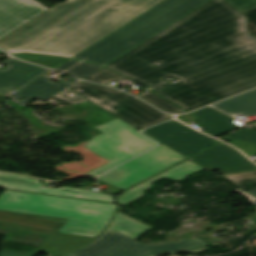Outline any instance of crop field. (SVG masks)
Returning a JSON list of instances; mask_svg holds the SVG:
<instances>
[{
  "instance_id": "8a807250",
  "label": "crop field",
  "mask_w": 256,
  "mask_h": 256,
  "mask_svg": "<svg viewBox=\"0 0 256 256\" xmlns=\"http://www.w3.org/2000/svg\"><path fill=\"white\" fill-rule=\"evenodd\" d=\"M247 19L224 0H211L104 66L190 111L256 86V38ZM160 63L158 66L154 63Z\"/></svg>"
},
{
  "instance_id": "ac0d7876",
  "label": "crop field",
  "mask_w": 256,
  "mask_h": 256,
  "mask_svg": "<svg viewBox=\"0 0 256 256\" xmlns=\"http://www.w3.org/2000/svg\"><path fill=\"white\" fill-rule=\"evenodd\" d=\"M160 1L93 0L13 53L71 58Z\"/></svg>"
},
{
  "instance_id": "34b2d1b8",
  "label": "crop field",
  "mask_w": 256,
  "mask_h": 256,
  "mask_svg": "<svg viewBox=\"0 0 256 256\" xmlns=\"http://www.w3.org/2000/svg\"><path fill=\"white\" fill-rule=\"evenodd\" d=\"M116 205L5 190L0 210L69 219L58 231L97 236L109 223Z\"/></svg>"
},
{
  "instance_id": "412701ff",
  "label": "crop field",
  "mask_w": 256,
  "mask_h": 256,
  "mask_svg": "<svg viewBox=\"0 0 256 256\" xmlns=\"http://www.w3.org/2000/svg\"><path fill=\"white\" fill-rule=\"evenodd\" d=\"M206 1L207 0H163L74 56L73 59L104 66Z\"/></svg>"
},
{
  "instance_id": "f4fd0767",
  "label": "crop field",
  "mask_w": 256,
  "mask_h": 256,
  "mask_svg": "<svg viewBox=\"0 0 256 256\" xmlns=\"http://www.w3.org/2000/svg\"><path fill=\"white\" fill-rule=\"evenodd\" d=\"M207 243L198 238H186L176 243L142 245L134 239L107 228L88 246L69 256H155L175 252L195 253L206 249Z\"/></svg>"
},
{
  "instance_id": "dd49c442",
  "label": "crop field",
  "mask_w": 256,
  "mask_h": 256,
  "mask_svg": "<svg viewBox=\"0 0 256 256\" xmlns=\"http://www.w3.org/2000/svg\"><path fill=\"white\" fill-rule=\"evenodd\" d=\"M96 128L103 134L87 142L85 147L108 160L109 163L87 174L88 176H97L156 144L118 118Z\"/></svg>"
},
{
  "instance_id": "e52e79f7",
  "label": "crop field",
  "mask_w": 256,
  "mask_h": 256,
  "mask_svg": "<svg viewBox=\"0 0 256 256\" xmlns=\"http://www.w3.org/2000/svg\"><path fill=\"white\" fill-rule=\"evenodd\" d=\"M69 89L77 92L139 130L173 118L170 115L153 109L136 98H131L132 96L104 86L88 84L81 81Z\"/></svg>"
},
{
  "instance_id": "d8731c3e",
  "label": "crop field",
  "mask_w": 256,
  "mask_h": 256,
  "mask_svg": "<svg viewBox=\"0 0 256 256\" xmlns=\"http://www.w3.org/2000/svg\"><path fill=\"white\" fill-rule=\"evenodd\" d=\"M185 158L161 144L99 177V179L124 190Z\"/></svg>"
},
{
  "instance_id": "5a996713",
  "label": "crop field",
  "mask_w": 256,
  "mask_h": 256,
  "mask_svg": "<svg viewBox=\"0 0 256 256\" xmlns=\"http://www.w3.org/2000/svg\"><path fill=\"white\" fill-rule=\"evenodd\" d=\"M141 132L186 157L218 142L217 140L196 132L175 120L167 121Z\"/></svg>"
},
{
  "instance_id": "3316defc",
  "label": "crop field",
  "mask_w": 256,
  "mask_h": 256,
  "mask_svg": "<svg viewBox=\"0 0 256 256\" xmlns=\"http://www.w3.org/2000/svg\"><path fill=\"white\" fill-rule=\"evenodd\" d=\"M91 0H68L50 8L31 22L18 28L0 40V47L9 53L52 26Z\"/></svg>"
},
{
  "instance_id": "28ad6ade",
  "label": "crop field",
  "mask_w": 256,
  "mask_h": 256,
  "mask_svg": "<svg viewBox=\"0 0 256 256\" xmlns=\"http://www.w3.org/2000/svg\"><path fill=\"white\" fill-rule=\"evenodd\" d=\"M189 159L207 170H220L224 175L256 170V165L244 155L222 142Z\"/></svg>"
},
{
  "instance_id": "d1516ede",
  "label": "crop field",
  "mask_w": 256,
  "mask_h": 256,
  "mask_svg": "<svg viewBox=\"0 0 256 256\" xmlns=\"http://www.w3.org/2000/svg\"><path fill=\"white\" fill-rule=\"evenodd\" d=\"M47 9L34 0H0V38L31 21Z\"/></svg>"
},
{
  "instance_id": "22f410ed",
  "label": "crop field",
  "mask_w": 256,
  "mask_h": 256,
  "mask_svg": "<svg viewBox=\"0 0 256 256\" xmlns=\"http://www.w3.org/2000/svg\"><path fill=\"white\" fill-rule=\"evenodd\" d=\"M2 64L8 66L0 70V96L8 97L49 70L31 66L15 59H8Z\"/></svg>"
},
{
  "instance_id": "cbeb9de0",
  "label": "crop field",
  "mask_w": 256,
  "mask_h": 256,
  "mask_svg": "<svg viewBox=\"0 0 256 256\" xmlns=\"http://www.w3.org/2000/svg\"><path fill=\"white\" fill-rule=\"evenodd\" d=\"M67 220L0 211V226L56 235Z\"/></svg>"
},
{
  "instance_id": "5142ce71",
  "label": "crop field",
  "mask_w": 256,
  "mask_h": 256,
  "mask_svg": "<svg viewBox=\"0 0 256 256\" xmlns=\"http://www.w3.org/2000/svg\"><path fill=\"white\" fill-rule=\"evenodd\" d=\"M49 78L50 77L43 75L8 98L12 99L19 105L25 106L34 98L46 100L79 81L75 79L71 83L60 82L58 84H54L47 81ZM21 98L24 100L22 101Z\"/></svg>"
},
{
  "instance_id": "d9b57169",
  "label": "crop field",
  "mask_w": 256,
  "mask_h": 256,
  "mask_svg": "<svg viewBox=\"0 0 256 256\" xmlns=\"http://www.w3.org/2000/svg\"><path fill=\"white\" fill-rule=\"evenodd\" d=\"M203 169L204 168L200 167L199 165H197L196 163H194L188 159V160L176 165L175 167L163 172L162 174L124 192L119 198H117L118 204H119V206L126 205V204L144 196L142 191L150 188L151 182H153L161 177L181 181L186 176H188L192 173L198 172L200 170H203Z\"/></svg>"
},
{
  "instance_id": "733c2abd",
  "label": "crop field",
  "mask_w": 256,
  "mask_h": 256,
  "mask_svg": "<svg viewBox=\"0 0 256 256\" xmlns=\"http://www.w3.org/2000/svg\"><path fill=\"white\" fill-rule=\"evenodd\" d=\"M92 239L91 237L57 233V235L50 239L39 252H45L51 254V256H61L86 245ZM36 253L24 254L2 251L0 256H33Z\"/></svg>"
},
{
  "instance_id": "4a817a6b",
  "label": "crop field",
  "mask_w": 256,
  "mask_h": 256,
  "mask_svg": "<svg viewBox=\"0 0 256 256\" xmlns=\"http://www.w3.org/2000/svg\"><path fill=\"white\" fill-rule=\"evenodd\" d=\"M194 115L200 124L206 127V132L215 137L240 128L232 123L235 119L211 107L194 112Z\"/></svg>"
},
{
  "instance_id": "bc2a9ffb",
  "label": "crop field",
  "mask_w": 256,
  "mask_h": 256,
  "mask_svg": "<svg viewBox=\"0 0 256 256\" xmlns=\"http://www.w3.org/2000/svg\"><path fill=\"white\" fill-rule=\"evenodd\" d=\"M213 107L234 117L256 116V90L216 104Z\"/></svg>"
},
{
  "instance_id": "214f88e0",
  "label": "crop field",
  "mask_w": 256,
  "mask_h": 256,
  "mask_svg": "<svg viewBox=\"0 0 256 256\" xmlns=\"http://www.w3.org/2000/svg\"><path fill=\"white\" fill-rule=\"evenodd\" d=\"M109 228L116 230L134 239L141 236L150 229L149 226L140 223L120 212H116L114 219Z\"/></svg>"
},
{
  "instance_id": "92a150f3",
  "label": "crop field",
  "mask_w": 256,
  "mask_h": 256,
  "mask_svg": "<svg viewBox=\"0 0 256 256\" xmlns=\"http://www.w3.org/2000/svg\"><path fill=\"white\" fill-rule=\"evenodd\" d=\"M39 193L115 203L113 197L109 195L66 187L57 189L41 187Z\"/></svg>"
},
{
  "instance_id": "dafd665d",
  "label": "crop field",
  "mask_w": 256,
  "mask_h": 256,
  "mask_svg": "<svg viewBox=\"0 0 256 256\" xmlns=\"http://www.w3.org/2000/svg\"><path fill=\"white\" fill-rule=\"evenodd\" d=\"M40 186L39 180L29 179L23 175L0 172V187L38 193Z\"/></svg>"
},
{
  "instance_id": "00972430",
  "label": "crop field",
  "mask_w": 256,
  "mask_h": 256,
  "mask_svg": "<svg viewBox=\"0 0 256 256\" xmlns=\"http://www.w3.org/2000/svg\"><path fill=\"white\" fill-rule=\"evenodd\" d=\"M243 191L256 189V171L225 176Z\"/></svg>"
},
{
  "instance_id": "a9b5d70f",
  "label": "crop field",
  "mask_w": 256,
  "mask_h": 256,
  "mask_svg": "<svg viewBox=\"0 0 256 256\" xmlns=\"http://www.w3.org/2000/svg\"><path fill=\"white\" fill-rule=\"evenodd\" d=\"M142 99L148 101L149 103L153 104L154 106L164 110L165 112H170V113H182L185 112L178 107L170 104L169 102L155 96L152 92L149 90L138 95Z\"/></svg>"
},
{
  "instance_id": "4177f3b9",
  "label": "crop field",
  "mask_w": 256,
  "mask_h": 256,
  "mask_svg": "<svg viewBox=\"0 0 256 256\" xmlns=\"http://www.w3.org/2000/svg\"><path fill=\"white\" fill-rule=\"evenodd\" d=\"M126 77L116 74L104 67L100 68L90 76L86 77L85 80H91L102 84H110L112 81L118 82Z\"/></svg>"
},
{
  "instance_id": "730fd06b",
  "label": "crop field",
  "mask_w": 256,
  "mask_h": 256,
  "mask_svg": "<svg viewBox=\"0 0 256 256\" xmlns=\"http://www.w3.org/2000/svg\"><path fill=\"white\" fill-rule=\"evenodd\" d=\"M14 56H17L29 62L45 65L52 68L67 61L66 59H59V58L45 57V56H35V55H14Z\"/></svg>"
},
{
  "instance_id": "eef30255",
  "label": "crop field",
  "mask_w": 256,
  "mask_h": 256,
  "mask_svg": "<svg viewBox=\"0 0 256 256\" xmlns=\"http://www.w3.org/2000/svg\"><path fill=\"white\" fill-rule=\"evenodd\" d=\"M100 67L101 66L81 62L72 69L66 71L65 73L83 79L89 74L99 69Z\"/></svg>"
},
{
  "instance_id": "ae1a2a85",
  "label": "crop field",
  "mask_w": 256,
  "mask_h": 256,
  "mask_svg": "<svg viewBox=\"0 0 256 256\" xmlns=\"http://www.w3.org/2000/svg\"><path fill=\"white\" fill-rule=\"evenodd\" d=\"M223 138L227 139H237L242 142H250L254 145H256V131L251 128H244L242 130H239L235 133H232L230 135H227Z\"/></svg>"
},
{
  "instance_id": "d3111659",
  "label": "crop field",
  "mask_w": 256,
  "mask_h": 256,
  "mask_svg": "<svg viewBox=\"0 0 256 256\" xmlns=\"http://www.w3.org/2000/svg\"><path fill=\"white\" fill-rule=\"evenodd\" d=\"M55 99L66 101L70 104H77V103L86 101L85 98H83L82 96L78 95L77 93H75L69 89L66 90L65 92L61 93L57 97H55Z\"/></svg>"
},
{
  "instance_id": "750c4746",
  "label": "crop field",
  "mask_w": 256,
  "mask_h": 256,
  "mask_svg": "<svg viewBox=\"0 0 256 256\" xmlns=\"http://www.w3.org/2000/svg\"><path fill=\"white\" fill-rule=\"evenodd\" d=\"M241 12L246 13L256 8V0H227Z\"/></svg>"
},
{
  "instance_id": "bd1437ed",
  "label": "crop field",
  "mask_w": 256,
  "mask_h": 256,
  "mask_svg": "<svg viewBox=\"0 0 256 256\" xmlns=\"http://www.w3.org/2000/svg\"><path fill=\"white\" fill-rule=\"evenodd\" d=\"M229 144L237 147L239 150H241L243 153H245L248 156L256 155V147L250 144H241L237 141L229 142Z\"/></svg>"
},
{
  "instance_id": "1d83c4d3",
  "label": "crop field",
  "mask_w": 256,
  "mask_h": 256,
  "mask_svg": "<svg viewBox=\"0 0 256 256\" xmlns=\"http://www.w3.org/2000/svg\"><path fill=\"white\" fill-rule=\"evenodd\" d=\"M80 61H76V60H69L68 62L64 63L63 65L57 67L56 69L63 72L66 69H68L69 67L73 66L74 64L78 63Z\"/></svg>"
},
{
  "instance_id": "120bbe31",
  "label": "crop field",
  "mask_w": 256,
  "mask_h": 256,
  "mask_svg": "<svg viewBox=\"0 0 256 256\" xmlns=\"http://www.w3.org/2000/svg\"><path fill=\"white\" fill-rule=\"evenodd\" d=\"M178 119L185 123L195 121L194 117L191 114H187L185 116H178Z\"/></svg>"
},
{
  "instance_id": "d32e631a",
  "label": "crop field",
  "mask_w": 256,
  "mask_h": 256,
  "mask_svg": "<svg viewBox=\"0 0 256 256\" xmlns=\"http://www.w3.org/2000/svg\"><path fill=\"white\" fill-rule=\"evenodd\" d=\"M233 192H239L241 193L244 197H246L249 201H254L256 200L254 197L250 196L249 194L240 191L239 189L234 190Z\"/></svg>"
},
{
  "instance_id": "5866460e",
  "label": "crop field",
  "mask_w": 256,
  "mask_h": 256,
  "mask_svg": "<svg viewBox=\"0 0 256 256\" xmlns=\"http://www.w3.org/2000/svg\"><path fill=\"white\" fill-rule=\"evenodd\" d=\"M250 195L254 196L256 198V190L253 191H247Z\"/></svg>"
},
{
  "instance_id": "028f5c9d",
  "label": "crop field",
  "mask_w": 256,
  "mask_h": 256,
  "mask_svg": "<svg viewBox=\"0 0 256 256\" xmlns=\"http://www.w3.org/2000/svg\"><path fill=\"white\" fill-rule=\"evenodd\" d=\"M0 53H3V52L0 51Z\"/></svg>"
}]
</instances>
